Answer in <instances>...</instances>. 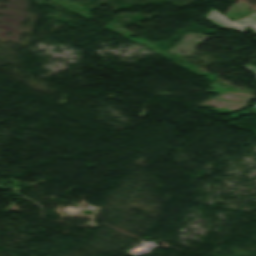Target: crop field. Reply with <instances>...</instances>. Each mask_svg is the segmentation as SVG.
<instances>
[{"label": "crop field", "mask_w": 256, "mask_h": 256, "mask_svg": "<svg viewBox=\"0 0 256 256\" xmlns=\"http://www.w3.org/2000/svg\"><path fill=\"white\" fill-rule=\"evenodd\" d=\"M214 16H216V17H214ZM205 17L208 18L211 22H213L218 27L234 28L235 30H238L241 32H248V31L242 29L241 27L250 26L255 30V33H256V29H255L256 28V13H254L244 19H241V20H238L235 22H231L226 17L221 16L218 11H216L215 9H212ZM227 24H229V26H226Z\"/></svg>", "instance_id": "1"}, {"label": "crop field", "mask_w": 256, "mask_h": 256, "mask_svg": "<svg viewBox=\"0 0 256 256\" xmlns=\"http://www.w3.org/2000/svg\"><path fill=\"white\" fill-rule=\"evenodd\" d=\"M249 71L256 73V67L252 66V65H247L245 66Z\"/></svg>", "instance_id": "2"}]
</instances>
